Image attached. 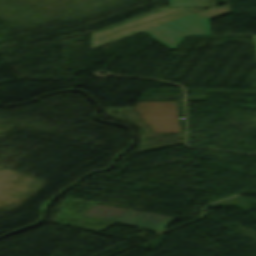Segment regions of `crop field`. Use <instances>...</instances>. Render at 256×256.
<instances>
[{
  "label": "crop field",
  "instance_id": "8a807250",
  "mask_svg": "<svg viewBox=\"0 0 256 256\" xmlns=\"http://www.w3.org/2000/svg\"><path fill=\"white\" fill-rule=\"evenodd\" d=\"M205 7L182 8H158L145 14L122 21L104 29L92 33L91 47H95L141 30L149 29L168 21L187 16Z\"/></svg>",
  "mask_w": 256,
  "mask_h": 256
},
{
  "label": "crop field",
  "instance_id": "ac0d7876",
  "mask_svg": "<svg viewBox=\"0 0 256 256\" xmlns=\"http://www.w3.org/2000/svg\"><path fill=\"white\" fill-rule=\"evenodd\" d=\"M231 12L229 7L211 8L154 27V31L145 30L169 49L176 48L185 36L211 35L208 19Z\"/></svg>",
  "mask_w": 256,
  "mask_h": 256
},
{
  "label": "crop field",
  "instance_id": "34b2d1b8",
  "mask_svg": "<svg viewBox=\"0 0 256 256\" xmlns=\"http://www.w3.org/2000/svg\"><path fill=\"white\" fill-rule=\"evenodd\" d=\"M85 214L155 230L165 229L170 223H172L176 219L175 217L121 209L98 204H95Z\"/></svg>",
  "mask_w": 256,
  "mask_h": 256
},
{
  "label": "crop field",
  "instance_id": "412701ff",
  "mask_svg": "<svg viewBox=\"0 0 256 256\" xmlns=\"http://www.w3.org/2000/svg\"><path fill=\"white\" fill-rule=\"evenodd\" d=\"M170 6L215 5L214 0H169Z\"/></svg>",
  "mask_w": 256,
  "mask_h": 256
},
{
  "label": "crop field",
  "instance_id": "f4fd0767",
  "mask_svg": "<svg viewBox=\"0 0 256 256\" xmlns=\"http://www.w3.org/2000/svg\"><path fill=\"white\" fill-rule=\"evenodd\" d=\"M254 43H255V48H256V36H253Z\"/></svg>",
  "mask_w": 256,
  "mask_h": 256
}]
</instances>
